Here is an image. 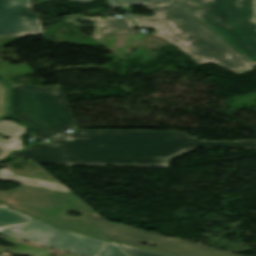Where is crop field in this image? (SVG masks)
Segmentation results:
<instances>
[{
  "instance_id": "crop-field-1",
  "label": "crop field",
  "mask_w": 256,
  "mask_h": 256,
  "mask_svg": "<svg viewBox=\"0 0 256 256\" xmlns=\"http://www.w3.org/2000/svg\"><path fill=\"white\" fill-rule=\"evenodd\" d=\"M256 149V140L199 141L173 131L80 130L53 145L21 152L39 164L168 167L169 160L196 147Z\"/></svg>"
},
{
  "instance_id": "crop-field-2",
  "label": "crop field",
  "mask_w": 256,
  "mask_h": 256,
  "mask_svg": "<svg viewBox=\"0 0 256 256\" xmlns=\"http://www.w3.org/2000/svg\"><path fill=\"white\" fill-rule=\"evenodd\" d=\"M144 6L156 15L149 17L132 15L131 18L139 28L151 27L156 32L148 35L175 45L198 64L212 62L238 75L250 72V69L256 70L178 1L145 4ZM177 19L181 24L176 23ZM187 48L190 49L187 50ZM227 54L228 57H226Z\"/></svg>"
},
{
  "instance_id": "crop-field-3",
  "label": "crop field",
  "mask_w": 256,
  "mask_h": 256,
  "mask_svg": "<svg viewBox=\"0 0 256 256\" xmlns=\"http://www.w3.org/2000/svg\"><path fill=\"white\" fill-rule=\"evenodd\" d=\"M0 201L58 228L111 241L107 235L84 217L94 213L95 210L74 194L23 185L8 192H0ZM68 210H75L83 216L71 218L66 214Z\"/></svg>"
},
{
  "instance_id": "crop-field-4",
  "label": "crop field",
  "mask_w": 256,
  "mask_h": 256,
  "mask_svg": "<svg viewBox=\"0 0 256 256\" xmlns=\"http://www.w3.org/2000/svg\"><path fill=\"white\" fill-rule=\"evenodd\" d=\"M256 66L253 0H178Z\"/></svg>"
},
{
  "instance_id": "crop-field-5",
  "label": "crop field",
  "mask_w": 256,
  "mask_h": 256,
  "mask_svg": "<svg viewBox=\"0 0 256 256\" xmlns=\"http://www.w3.org/2000/svg\"><path fill=\"white\" fill-rule=\"evenodd\" d=\"M11 87L13 117L30 123L33 128L75 125L60 85Z\"/></svg>"
},
{
  "instance_id": "crop-field-6",
  "label": "crop field",
  "mask_w": 256,
  "mask_h": 256,
  "mask_svg": "<svg viewBox=\"0 0 256 256\" xmlns=\"http://www.w3.org/2000/svg\"><path fill=\"white\" fill-rule=\"evenodd\" d=\"M0 233L82 256H101L108 242L56 229L40 220L0 228Z\"/></svg>"
},
{
  "instance_id": "crop-field-7",
  "label": "crop field",
  "mask_w": 256,
  "mask_h": 256,
  "mask_svg": "<svg viewBox=\"0 0 256 256\" xmlns=\"http://www.w3.org/2000/svg\"><path fill=\"white\" fill-rule=\"evenodd\" d=\"M86 217L113 240H118L125 243L179 256H240L218 249L182 241L180 239L168 238L160 234L110 223L107 222L98 213H94ZM141 242L159 244L153 248L142 245L140 244Z\"/></svg>"
},
{
  "instance_id": "crop-field-8",
  "label": "crop field",
  "mask_w": 256,
  "mask_h": 256,
  "mask_svg": "<svg viewBox=\"0 0 256 256\" xmlns=\"http://www.w3.org/2000/svg\"><path fill=\"white\" fill-rule=\"evenodd\" d=\"M29 0H0V38L43 33Z\"/></svg>"
},
{
  "instance_id": "crop-field-9",
  "label": "crop field",
  "mask_w": 256,
  "mask_h": 256,
  "mask_svg": "<svg viewBox=\"0 0 256 256\" xmlns=\"http://www.w3.org/2000/svg\"><path fill=\"white\" fill-rule=\"evenodd\" d=\"M101 17H105V20H101ZM65 20L72 24L74 28L89 26V25H80L77 20H86L92 21L95 24L89 27L95 29L91 38L93 40L111 37L115 35H122L129 33L132 29L136 27L131 23L128 17L122 19L111 18L110 16H100V17H86L84 15H67L64 16ZM114 33V34H110Z\"/></svg>"
},
{
  "instance_id": "crop-field-10",
  "label": "crop field",
  "mask_w": 256,
  "mask_h": 256,
  "mask_svg": "<svg viewBox=\"0 0 256 256\" xmlns=\"http://www.w3.org/2000/svg\"><path fill=\"white\" fill-rule=\"evenodd\" d=\"M0 180L22 183V184H27V185H32V186L72 193L63 184L48 182V181H43V180H37V179H32V178H26V177H20V176L14 175L12 173L0 174Z\"/></svg>"
},
{
  "instance_id": "crop-field-11",
  "label": "crop field",
  "mask_w": 256,
  "mask_h": 256,
  "mask_svg": "<svg viewBox=\"0 0 256 256\" xmlns=\"http://www.w3.org/2000/svg\"><path fill=\"white\" fill-rule=\"evenodd\" d=\"M21 37L16 38H7V39H0V46H3L11 41L17 40ZM32 72V69L28 67L25 63L18 64V65H10L8 62L0 60V76L9 84L11 85L12 82L9 77L21 75L24 73Z\"/></svg>"
},
{
  "instance_id": "crop-field-12",
  "label": "crop field",
  "mask_w": 256,
  "mask_h": 256,
  "mask_svg": "<svg viewBox=\"0 0 256 256\" xmlns=\"http://www.w3.org/2000/svg\"><path fill=\"white\" fill-rule=\"evenodd\" d=\"M33 219L21 213L9 210L6 205L0 206V226Z\"/></svg>"
},
{
  "instance_id": "crop-field-13",
  "label": "crop field",
  "mask_w": 256,
  "mask_h": 256,
  "mask_svg": "<svg viewBox=\"0 0 256 256\" xmlns=\"http://www.w3.org/2000/svg\"><path fill=\"white\" fill-rule=\"evenodd\" d=\"M26 130L25 127L18 125L15 121L0 120V134L7 137L21 136Z\"/></svg>"
},
{
  "instance_id": "crop-field-14",
  "label": "crop field",
  "mask_w": 256,
  "mask_h": 256,
  "mask_svg": "<svg viewBox=\"0 0 256 256\" xmlns=\"http://www.w3.org/2000/svg\"><path fill=\"white\" fill-rule=\"evenodd\" d=\"M22 149H24V145L20 138L0 139V160L6 158L12 151Z\"/></svg>"
},
{
  "instance_id": "crop-field-15",
  "label": "crop field",
  "mask_w": 256,
  "mask_h": 256,
  "mask_svg": "<svg viewBox=\"0 0 256 256\" xmlns=\"http://www.w3.org/2000/svg\"><path fill=\"white\" fill-rule=\"evenodd\" d=\"M8 93L7 86L3 82H0V119L8 114Z\"/></svg>"
},
{
  "instance_id": "crop-field-16",
  "label": "crop field",
  "mask_w": 256,
  "mask_h": 256,
  "mask_svg": "<svg viewBox=\"0 0 256 256\" xmlns=\"http://www.w3.org/2000/svg\"><path fill=\"white\" fill-rule=\"evenodd\" d=\"M141 57L143 58L144 61L151 60V59H156L158 55H156L155 52H152V50L139 46L136 51H134L127 59H133V58H138Z\"/></svg>"
},
{
  "instance_id": "crop-field-17",
  "label": "crop field",
  "mask_w": 256,
  "mask_h": 256,
  "mask_svg": "<svg viewBox=\"0 0 256 256\" xmlns=\"http://www.w3.org/2000/svg\"><path fill=\"white\" fill-rule=\"evenodd\" d=\"M102 256H131L116 242H109Z\"/></svg>"
},
{
  "instance_id": "crop-field-18",
  "label": "crop field",
  "mask_w": 256,
  "mask_h": 256,
  "mask_svg": "<svg viewBox=\"0 0 256 256\" xmlns=\"http://www.w3.org/2000/svg\"><path fill=\"white\" fill-rule=\"evenodd\" d=\"M65 133L62 131V128H47V129H34L33 137H56L63 136Z\"/></svg>"
},
{
  "instance_id": "crop-field-19",
  "label": "crop field",
  "mask_w": 256,
  "mask_h": 256,
  "mask_svg": "<svg viewBox=\"0 0 256 256\" xmlns=\"http://www.w3.org/2000/svg\"><path fill=\"white\" fill-rule=\"evenodd\" d=\"M119 244L126 251H128L132 256H169V255H164V254H160V253H155V252L142 250V249L135 248V247L128 246V245H125V244H121V243H119Z\"/></svg>"
},
{
  "instance_id": "crop-field-20",
  "label": "crop field",
  "mask_w": 256,
  "mask_h": 256,
  "mask_svg": "<svg viewBox=\"0 0 256 256\" xmlns=\"http://www.w3.org/2000/svg\"><path fill=\"white\" fill-rule=\"evenodd\" d=\"M164 1H172V0H123L126 6L133 4V3H153V2H164Z\"/></svg>"
},
{
  "instance_id": "crop-field-21",
  "label": "crop field",
  "mask_w": 256,
  "mask_h": 256,
  "mask_svg": "<svg viewBox=\"0 0 256 256\" xmlns=\"http://www.w3.org/2000/svg\"><path fill=\"white\" fill-rule=\"evenodd\" d=\"M78 1L86 2L91 0H78ZM106 1L111 8L123 6L119 0H113L114 2H111V0H106Z\"/></svg>"
},
{
  "instance_id": "crop-field-22",
  "label": "crop field",
  "mask_w": 256,
  "mask_h": 256,
  "mask_svg": "<svg viewBox=\"0 0 256 256\" xmlns=\"http://www.w3.org/2000/svg\"><path fill=\"white\" fill-rule=\"evenodd\" d=\"M10 156H12V157H14V158H24V157H22L21 155H20V153H13L12 155H10Z\"/></svg>"
},
{
  "instance_id": "crop-field-23",
  "label": "crop field",
  "mask_w": 256,
  "mask_h": 256,
  "mask_svg": "<svg viewBox=\"0 0 256 256\" xmlns=\"http://www.w3.org/2000/svg\"><path fill=\"white\" fill-rule=\"evenodd\" d=\"M9 172L7 169H0V173H7Z\"/></svg>"
},
{
  "instance_id": "crop-field-24",
  "label": "crop field",
  "mask_w": 256,
  "mask_h": 256,
  "mask_svg": "<svg viewBox=\"0 0 256 256\" xmlns=\"http://www.w3.org/2000/svg\"><path fill=\"white\" fill-rule=\"evenodd\" d=\"M3 204H5V203H1V202H0V205H3Z\"/></svg>"
},
{
  "instance_id": "crop-field-25",
  "label": "crop field",
  "mask_w": 256,
  "mask_h": 256,
  "mask_svg": "<svg viewBox=\"0 0 256 256\" xmlns=\"http://www.w3.org/2000/svg\"><path fill=\"white\" fill-rule=\"evenodd\" d=\"M128 8H129V11L132 12L131 9H130V7H128Z\"/></svg>"
},
{
  "instance_id": "crop-field-26",
  "label": "crop field",
  "mask_w": 256,
  "mask_h": 256,
  "mask_svg": "<svg viewBox=\"0 0 256 256\" xmlns=\"http://www.w3.org/2000/svg\"><path fill=\"white\" fill-rule=\"evenodd\" d=\"M70 134V133H69ZM69 134H67V135H69ZM67 135H65V136H67Z\"/></svg>"
},
{
  "instance_id": "crop-field-27",
  "label": "crop field",
  "mask_w": 256,
  "mask_h": 256,
  "mask_svg": "<svg viewBox=\"0 0 256 256\" xmlns=\"http://www.w3.org/2000/svg\"><path fill=\"white\" fill-rule=\"evenodd\" d=\"M155 245H157V244H155Z\"/></svg>"
}]
</instances>
